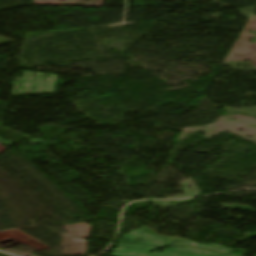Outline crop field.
I'll return each mask as SVG.
<instances>
[{"label": "crop field", "instance_id": "1", "mask_svg": "<svg viewBox=\"0 0 256 256\" xmlns=\"http://www.w3.org/2000/svg\"><path fill=\"white\" fill-rule=\"evenodd\" d=\"M156 247L120 243L112 256H228L204 249L180 247L169 248L162 253H151Z\"/></svg>", "mask_w": 256, "mask_h": 256}, {"label": "crop field", "instance_id": "2", "mask_svg": "<svg viewBox=\"0 0 256 256\" xmlns=\"http://www.w3.org/2000/svg\"><path fill=\"white\" fill-rule=\"evenodd\" d=\"M143 229H138L136 231H133L131 233H128L123 236L120 242H125V243H134L137 244V240L140 236V234L143 232ZM166 238L150 235L144 233L143 237L139 241L138 244H143V245H152V246H164L166 242Z\"/></svg>", "mask_w": 256, "mask_h": 256}, {"label": "crop field", "instance_id": "3", "mask_svg": "<svg viewBox=\"0 0 256 256\" xmlns=\"http://www.w3.org/2000/svg\"><path fill=\"white\" fill-rule=\"evenodd\" d=\"M178 245H191V246H197V247H202V248L218 250V251H222V252H226V253L230 252V249H226L219 245H214V244L205 245V244H199V243H196L193 241L172 242L170 246H178Z\"/></svg>", "mask_w": 256, "mask_h": 256}, {"label": "crop field", "instance_id": "4", "mask_svg": "<svg viewBox=\"0 0 256 256\" xmlns=\"http://www.w3.org/2000/svg\"><path fill=\"white\" fill-rule=\"evenodd\" d=\"M0 143L8 145V146H11L12 144H14V143H11V142H8V141H4V140H1V139H0Z\"/></svg>", "mask_w": 256, "mask_h": 256}, {"label": "crop field", "instance_id": "5", "mask_svg": "<svg viewBox=\"0 0 256 256\" xmlns=\"http://www.w3.org/2000/svg\"><path fill=\"white\" fill-rule=\"evenodd\" d=\"M231 256V255H230Z\"/></svg>", "mask_w": 256, "mask_h": 256}]
</instances>
